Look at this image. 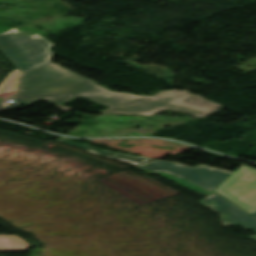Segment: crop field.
<instances>
[{"mask_svg": "<svg viewBox=\"0 0 256 256\" xmlns=\"http://www.w3.org/2000/svg\"><path fill=\"white\" fill-rule=\"evenodd\" d=\"M32 248L25 239L16 235H0V252L24 251Z\"/></svg>", "mask_w": 256, "mask_h": 256, "instance_id": "7", "label": "crop field"}, {"mask_svg": "<svg viewBox=\"0 0 256 256\" xmlns=\"http://www.w3.org/2000/svg\"><path fill=\"white\" fill-rule=\"evenodd\" d=\"M2 107H4V105H1V106H0V109H1Z\"/></svg>", "mask_w": 256, "mask_h": 256, "instance_id": "13", "label": "crop field"}, {"mask_svg": "<svg viewBox=\"0 0 256 256\" xmlns=\"http://www.w3.org/2000/svg\"><path fill=\"white\" fill-rule=\"evenodd\" d=\"M20 72L15 69L0 85V103L17 94Z\"/></svg>", "mask_w": 256, "mask_h": 256, "instance_id": "8", "label": "crop field"}, {"mask_svg": "<svg viewBox=\"0 0 256 256\" xmlns=\"http://www.w3.org/2000/svg\"><path fill=\"white\" fill-rule=\"evenodd\" d=\"M139 168L146 171L147 173H158L169 180L179 183L185 187H188L197 192L205 195L211 193L205 189L188 183L182 179L176 178L168 173H172L183 179H186L192 183L202 186L210 191H214L232 172L199 165L195 169L179 164V163H167L163 161L153 160L151 162L139 165Z\"/></svg>", "mask_w": 256, "mask_h": 256, "instance_id": "3", "label": "crop field"}, {"mask_svg": "<svg viewBox=\"0 0 256 256\" xmlns=\"http://www.w3.org/2000/svg\"><path fill=\"white\" fill-rule=\"evenodd\" d=\"M198 203L219 214L224 226H240L256 234V220L221 196L212 194ZM244 238L256 240V235Z\"/></svg>", "mask_w": 256, "mask_h": 256, "instance_id": "5", "label": "crop field"}, {"mask_svg": "<svg viewBox=\"0 0 256 256\" xmlns=\"http://www.w3.org/2000/svg\"><path fill=\"white\" fill-rule=\"evenodd\" d=\"M168 92H170V93H172V94L176 93V92H174V91H168Z\"/></svg>", "mask_w": 256, "mask_h": 256, "instance_id": "12", "label": "crop field"}, {"mask_svg": "<svg viewBox=\"0 0 256 256\" xmlns=\"http://www.w3.org/2000/svg\"><path fill=\"white\" fill-rule=\"evenodd\" d=\"M207 105H209V104H208V103H205V104H203V105H201V106H199V107H203V108H205ZM215 107H217V105L211 106V107L206 108V109H210V110H212V109H214Z\"/></svg>", "mask_w": 256, "mask_h": 256, "instance_id": "11", "label": "crop field"}, {"mask_svg": "<svg viewBox=\"0 0 256 256\" xmlns=\"http://www.w3.org/2000/svg\"><path fill=\"white\" fill-rule=\"evenodd\" d=\"M191 93L179 92L172 95L166 91L151 97L129 93L111 92L95 82L49 63L22 76L19 93L10 99L32 104L47 99L63 105L80 96L111 107L100 113L132 114L152 116L163 110L181 111L197 116H207L210 110L185 105L181 100Z\"/></svg>", "mask_w": 256, "mask_h": 256, "instance_id": "1", "label": "crop field"}, {"mask_svg": "<svg viewBox=\"0 0 256 256\" xmlns=\"http://www.w3.org/2000/svg\"><path fill=\"white\" fill-rule=\"evenodd\" d=\"M18 103L17 102H12L10 103L7 107H5L4 109H12L13 107H15Z\"/></svg>", "mask_w": 256, "mask_h": 256, "instance_id": "10", "label": "crop field"}, {"mask_svg": "<svg viewBox=\"0 0 256 256\" xmlns=\"http://www.w3.org/2000/svg\"><path fill=\"white\" fill-rule=\"evenodd\" d=\"M57 141H61V142L67 143V144H71V145H74V146H77V147H81V148H84V149L88 150L91 153L107 156V157H110V158H113V159H116V160H119V161H125V162H128V163L134 164V165L143 164L145 162L153 160V159H149V158H146V157H132V156H129V155L124 154V153H113V152L104 151V150L93 148V147H90V146L70 142L64 137L57 140Z\"/></svg>", "mask_w": 256, "mask_h": 256, "instance_id": "6", "label": "crop field"}, {"mask_svg": "<svg viewBox=\"0 0 256 256\" xmlns=\"http://www.w3.org/2000/svg\"><path fill=\"white\" fill-rule=\"evenodd\" d=\"M51 46L41 36L30 38L14 29L0 35V49L23 74L51 62Z\"/></svg>", "mask_w": 256, "mask_h": 256, "instance_id": "2", "label": "crop field"}, {"mask_svg": "<svg viewBox=\"0 0 256 256\" xmlns=\"http://www.w3.org/2000/svg\"><path fill=\"white\" fill-rule=\"evenodd\" d=\"M205 102H208L210 103V105H213V103L205 100V99H202V98H198L194 95L190 96V97H187L185 99L182 100V103H185V104H190V105H195V106H199ZM209 105V106H210Z\"/></svg>", "mask_w": 256, "mask_h": 256, "instance_id": "9", "label": "crop field"}, {"mask_svg": "<svg viewBox=\"0 0 256 256\" xmlns=\"http://www.w3.org/2000/svg\"><path fill=\"white\" fill-rule=\"evenodd\" d=\"M256 217V170L242 165L216 190Z\"/></svg>", "mask_w": 256, "mask_h": 256, "instance_id": "4", "label": "crop field"}]
</instances>
